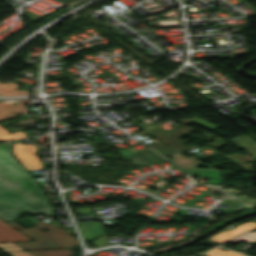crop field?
Masks as SVG:
<instances>
[{"mask_svg":"<svg viewBox=\"0 0 256 256\" xmlns=\"http://www.w3.org/2000/svg\"><path fill=\"white\" fill-rule=\"evenodd\" d=\"M24 213L53 216L45 195L12 156L10 143L0 144V218L14 220Z\"/></svg>","mask_w":256,"mask_h":256,"instance_id":"8a807250","label":"crop field"},{"mask_svg":"<svg viewBox=\"0 0 256 256\" xmlns=\"http://www.w3.org/2000/svg\"><path fill=\"white\" fill-rule=\"evenodd\" d=\"M7 223L36 241L16 243L27 250L67 248L79 245L78 240L74 239L60 228L50 230L44 234L36 227L24 229L13 221Z\"/></svg>","mask_w":256,"mask_h":256,"instance_id":"ac0d7876","label":"crop field"},{"mask_svg":"<svg viewBox=\"0 0 256 256\" xmlns=\"http://www.w3.org/2000/svg\"><path fill=\"white\" fill-rule=\"evenodd\" d=\"M191 156V158H186L182 154L172 156L169 160L177 164L178 166L185 169L187 172H189L193 176H203L208 177L209 181L208 183L213 184H219L222 170L221 169H213L214 167H222L220 164H213L209 165L207 167H210L208 169H198L197 166H205L203 163H201L198 158L192 156L189 152H186Z\"/></svg>","mask_w":256,"mask_h":256,"instance_id":"34b2d1b8","label":"crop field"},{"mask_svg":"<svg viewBox=\"0 0 256 256\" xmlns=\"http://www.w3.org/2000/svg\"><path fill=\"white\" fill-rule=\"evenodd\" d=\"M231 142L239 149L243 148L248 154L242 156L238 154H231L226 156L229 160L239 165L246 171H251L255 164H246L247 162H256V141L247 135L235 137Z\"/></svg>","mask_w":256,"mask_h":256,"instance_id":"412701ff","label":"crop field"},{"mask_svg":"<svg viewBox=\"0 0 256 256\" xmlns=\"http://www.w3.org/2000/svg\"><path fill=\"white\" fill-rule=\"evenodd\" d=\"M82 238L84 241H90L95 237L103 234L102 236L98 237L94 241L90 242L94 246L98 247L101 245H105L108 241L102 227L100 226L99 222H76Z\"/></svg>","mask_w":256,"mask_h":256,"instance_id":"f4fd0767","label":"crop field"},{"mask_svg":"<svg viewBox=\"0 0 256 256\" xmlns=\"http://www.w3.org/2000/svg\"><path fill=\"white\" fill-rule=\"evenodd\" d=\"M118 153L127 158L128 160L138 164L139 166H144L166 160L150 149H145L135 153L132 150L126 148L118 151Z\"/></svg>","mask_w":256,"mask_h":256,"instance_id":"dd49c442","label":"crop field"},{"mask_svg":"<svg viewBox=\"0 0 256 256\" xmlns=\"http://www.w3.org/2000/svg\"><path fill=\"white\" fill-rule=\"evenodd\" d=\"M34 151L33 145H23L21 140L14 142L15 156L27 169L42 167L37 157L33 154Z\"/></svg>","mask_w":256,"mask_h":256,"instance_id":"e52e79f7","label":"crop field"},{"mask_svg":"<svg viewBox=\"0 0 256 256\" xmlns=\"http://www.w3.org/2000/svg\"><path fill=\"white\" fill-rule=\"evenodd\" d=\"M192 131L193 129L191 127H179V128L171 129L164 132L158 129L152 130L151 132L154 133L163 141L173 146L178 151L182 152V151H186L187 149L182 146V143L179 140V136L188 134Z\"/></svg>","mask_w":256,"mask_h":256,"instance_id":"d8731c3e","label":"crop field"},{"mask_svg":"<svg viewBox=\"0 0 256 256\" xmlns=\"http://www.w3.org/2000/svg\"><path fill=\"white\" fill-rule=\"evenodd\" d=\"M31 241L29 237L15 230L9 224L0 219V243Z\"/></svg>","mask_w":256,"mask_h":256,"instance_id":"5a996713","label":"crop field"},{"mask_svg":"<svg viewBox=\"0 0 256 256\" xmlns=\"http://www.w3.org/2000/svg\"><path fill=\"white\" fill-rule=\"evenodd\" d=\"M29 99L25 101H20L17 104L14 102L10 103H0V120L19 114L27 113L28 108L24 107L23 104L27 103Z\"/></svg>","mask_w":256,"mask_h":256,"instance_id":"3316defc","label":"crop field"},{"mask_svg":"<svg viewBox=\"0 0 256 256\" xmlns=\"http://www.w3.org/2000/svg\"><path fill=\"white\" fill-rule=\"evenodd\" d=\"M252 228H256V224L251 221H248L246 223H243V224L237 226L233 230L223 231V232L211 237V239L221 243L227 239H230V238H232L236 235H239V234H241L249 229H252Z\"/></svg>","mask_w":256,"mask_h":256,"instance_id":"28ad6ade","label":"crop field"},{"mask_svg":"<svg viewBox=\"0 0 256 256\" xmlns=\"http://www.w3.org/2000/svg\"><path fill=\"white\" fill-rule=\"evenodd\" d=\"M18 86L13 82L2 85L0 84V96H15L28 94L25 90L16 91Z\"/></svg>","mask_w":256,"mask_h":256,"instance_id":"d1516ede","label":"crop field"},{"mask_svg":"<svg viewBox=\"0 0 256 256\" xmlns=\"http://www.w3.org/2000/svg\"><path fill=\"white\" fill-rule=\"evenodd\" d=\"M0 249L6 251H16V250H24L21 247L17 246L14 243H3L0 244ZM11 256H31L26 251H16V252H7Z\"/></svg>","mask_w":256,"mask_h":256,"instance_id":"22f410ed","label":"crop field"},{"mask_svg":"<svg viewBox=\"0 0 256 256\" xmlns=\"http://www.w3.org/2000/svg\"><path fill=\"white\" fill-rule=\"evenodd\" d=\"M164 144H166L169 148L163 146ZM148 146H150L154 150L158 151L163 156H168V155L179 153L177 150H175L174 148H172L170 145H168L165 142H157V143L149 144Z\"/></svg>","mask_w":256,"mask_h":256,"instance_id":"cbeb9de0","label":"crop field"},{"mask_svg":"<svg viewBox=\"0 0 256 256\" xmlns=\"http://www.w3.org/2000/svg\"><path fill=\"white\" fill-rule=\"evenodd\" d=\"M33 256H70L72 253L69 249L55 251H30Z\"/></svg>","mask_w":256,"mask_h":256,"instance_id":"5142ce71","label":"crop field"},{"mask_svg":"<svg viewBox=\"0 0 256 256\" xmlns=\"http://www.w3.org/2000/svg\"><path fill=\"white\" fill-rule=\"evenodd\" d=\"M206 256H244L232 251H225L222 250L221 247H216L206 253H204Z\"/></svg>","mask_w":256,"mask_h":256,"instance_id":"d9b57169","label":"crop field"},{"mask_svg":"<svg viewBox=\"0 0 256 256\" xmlns=\"http://www.w3.org/2000/svg\"><path fill=\"white\" fill-rule=\"evenodd\" d=\"M182 123L184 124H189V123H196V124H200L210 130H213V129H217V127H215L213 124H211L210 122L208 121H205L203 119H200V118H192V119H186V120H183Z\"/></svg>","mask_w":256,"mask_h":256,"instance_id":"733c2abd","label":"crop field"},{"mask_svg":"<svg viewBox=\"0 0 256 256\" xmlns=\"http://www.w3.org/2000/svg\"><path fill=\"white\" fill-rule=\"evenodd\" d=\"M0 139H2V140H17L20 138H19L18 132L9 135L6 130H4L2 127H0Z\"/></svg>","mask_w":256,"mask_h":256,"instance_id":"4a817a6b","label":"crop field"},{"mask_svg":"<svg viewBox=\"0 0 256 256\" xmlns=\"http://www.w3.org/2000/svg\"><path fill=\"white\" fill-rule=\"evenodd\" d=\"M19 133H20L21 139H22V138H26V136H25L21 131H20Z\"/></svg>","mask_w":256,"mask_h":256,"instance_id":"bc2a9ffb","label":"crop field"}]
</instances>
